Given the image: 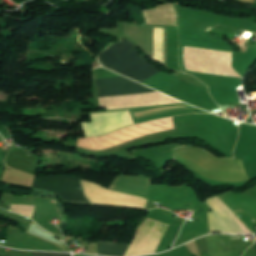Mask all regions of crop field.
<instances>
[{
	"mask_svg": "<svg viewBox=\"0 0 256 256\" xmlns=\"http://www.w3.org/2000/svg\"><path fill=\"white\" fill-rule=\"evenodd\" d=\"M98 56L100 64L139 83L160 72L148 64L132 42L121 39Z\"/></svg>",
	"mask_w": 256,
	"mask_h": 256,
	"instance_id": "2",
	"label": "crop field"
},
{
	"mask_svg": "<svg viewBox=\"0 0 256 256\" xmlns=\"http://www.w3.org/2000/svg\"><path fill=\"white\" fill-rule=\"evenodd\" d=\"M32 187L54 191L63 201L90 203L83 195L80 180L73 177H35Z\"/></svg>",
	"mask_w": 256,
	"mask_h": 256,
	"instance_id": "3",
	"label": "crop field"
},
{
	"mask_svg": "<svg viewBox=\"0 0 256 256\" xmlns=\"http://www.w3.org/2000/svg\"><path fill=\"white\" fill-rule=\"evenodd\" d=\"M99 97L155 92L124 77L96 79Z\"/></svg>",
	"mask_w": 256,
	"mask_h": 256,
	"instance_id": "4",
	"label": "crop field"
},
{
	"mask_svg": "<svg viewBox=\"0 0 256 256\" xmlns=\"http://www.w3.org/2000/svg\"><path fill=\"white\" fill-rule=\"evenodd\" d=\"M33 256H71V254L33 252Z\"/></svg>",
	"mask_w": 256,
	"mask_h": 256,
	"instance_id": "6",
	"label": "crop field"
},
{
	"mask_svg": "<svg viewBox=\"0 0 256 256\" xmlns=\"http://www.w3.org/2000/svg\"><path fill=\"white\" fill-rule=\"evenodd\" d=\"M129 245L114 244L98 241L97 254L106 256H123Z\"/></svg>",
	"mask_w": 256,
	"mask_h": 256,
	"instance_id": "5",
	"label": "crop field"
},
{
	"mask_svg": "<svg viewBox=\"0 0 256 256\" xmlns=\"http://www.w3.org/2000/svg\"><path fill=\"white\" fill-rule=\"evenodd\" d=\"M175 159L189 170L212 178L248 180L242 161L237 159H216L205 151L194 147L175 149Z\"/></svg>",
	"mask_w": 256,
	"mask_h": 256,
	"instance_id": "1",
	"label": "crop field"
}]
</instances>
